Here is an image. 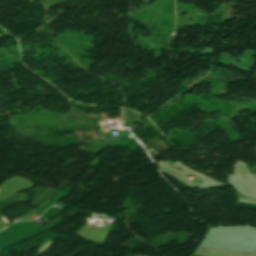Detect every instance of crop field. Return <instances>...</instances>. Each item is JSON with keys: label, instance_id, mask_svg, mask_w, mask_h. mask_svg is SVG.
I'll use <instances>...</instances> for the list:
<instances>
[{"label": "crop field", "instance_id": "1", "mask_svg": "<svg viewBox=\"0 0 256 256\" xmlns=\"http://www.w3.org/2000/svg\"><path fill=\"white\" fill-rule=\"evenodd\" d=\"M197 255L204 256H254V253L251 252H243V251H235V250H227V249H219V248H211V247H203L200 246L198 250L195 252Z\"/></svg>", "mask_w": 256, "mask_h": 256}]
</instances>
